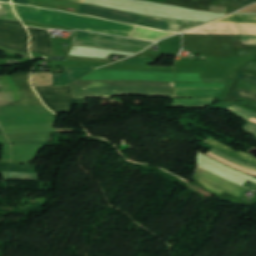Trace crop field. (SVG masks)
Wrapping results in <instances>:
<instances>
[{
    "mask_svg": "<svg viewBox=\"0 0 256 256\" xmlns=\"http://www.w3.org/2000/svg\"><path fill=\"white\" fill-rule=\"evenodd\" d=\"M68 1H74V2H80V3L84 2V0H68Z\"/></svg>",
    "mask_w": 256,
    "mask_h": 256,
    "instance_id": "34",
    "label": "crop field"
},
{
    "mask_svg": "<svg viewBox=\"0 0 256 256\" xmlns=\"http://www.w3.org/2000/svg\"><path fill=\"white\" fill-rule=\"evenodd\" d=\"M0 143H1V144H10V143L7 141L5 135H0Z\"/></svg>",
    "mask_w": 256,
    "mask_h": 256,
    "instance_id": "32",
    "label": "crop field"
},
{
    "mask_svg": "<svg viewBox=\"0 0 256 256\" xmlns=\"http://www.w3.org/2000/svg\"><path fill=\"white\" fill-rule=\"evenodd\" d=\"M41 100L55 113L70 112L72 105L86 104L85 99H73L70 86L35 88Z\"/></svg>",
    "mask_w": 256,
    "mask_h": 256,
    "instance_id": "6",
    "label": "crop field"
},
{
    "mask_svg": "<svg viewBox=\"0 0 256 256\" xmlns=\"http://www.w3.org/2000/svg\"><path fill=\"white\" fill-rule=\"evenodd\" d=\"M13 3L27 4L30 5V0H12Z\"/></svg>",
    "mask_w": 256,
    "mask_h": 256,
    "instance_id": "30",
    "label": "crop field"
},
{
    "mask_svg": "<svg viewBox=\"0 0 256 256\" xmlns=\"http://www.w3.org/2000/svg\"><path fill=\"white\" fill-rule=\"evenodd\" d=\"M30 73L11 74L2 77L18 106L43 105L31 86ZM2 79L0 77V107L17 106Z\"/></svg>",
    "mask_w": 256,
    "mask_h": 256,
    "instance_id": "4",
    "label": "crop field"
},
{
    "mask_svg": "<svg viewBox=\"0 0 256 256\" xmlns=\"http://www.w3.org/2000/svg\"><path fill=\"white\" fill-rule=\"evenodd\" d=\"M173 34L175 33L136 27L131 37L144 39V40L158 41L164 37H167Z\"/></svg>",
    "mask_w": 256,
    "mask_h": 256,
    "instance_id": "14",
    "label": "crop field"
},
{
    "mask_svg": "<svg viewBox=\"0 0 256 256\" xmlns=\"http://www.w3.org/2000/svg\"><path fill=\"white\" fill-rule=\"evenodd\" d=\"M228 109L238 113L237 115H239V116H241V117H243V118H245L249 121H250L251 118L256 119V114H253V113H251V112H249V111H247V110H245V109H243L239 106L230 107ZM253 119H251V122L256 123V120H253Z\"/></svg>",
    "mask_w": 256,
    "mask_h": 256,
    "instance_id": "21",
    "label": "crop field"
},
{
    "mask_svg": "<svg viewBox=\"0 0 256 256\" xmlns=\"http://www.w3.org/2000/svg\"><path fill=\"white\" fill-rule=\"evenodd\" d=\"M235 94L238 95V96L256 101V94H252V93L245 92V91L238 90V89L236 90Z\"/></svg>",
    "mask_w": 256,
    "mask_h": 256,
    "instance_id": "25",
    "label": "crop field"
},
{
    "mask_svg": "<svg viewBox=\"0 0 256 256\" xmlns=\"http://www.w3.org/2000/svg\"><path fill=\"white\" fill-rule=\"evenodd\" d=\"M211 152H213V153H215V154H217V155H219V156H221V157H223V158H225V159H227V160H230V161H232V162H235V163H237V164H239V165H242V166H245V167H247V168L256 170V166H255V165H252V164L247 163V162H244V161H242V160H239V159L230 157V156H228V155H226V154H224V153H222V152H220V151H218V150H216V149H214V148L211 150Z\"/></svg>",
    "mask_w": 256,
    "mask_h": 256,
    "instance_id": "19",
    "label": "crop field"
},
{
    "mask_svg": "<svg viewBox=\"0 0 256 256\" xmlns=\"http://www.w3.org/2000/svg\"><path fill=\"white\" fill-rule=\"evenodd\" d=\"M190 34H248L256 35V24L211 23L191 30Z\"/></svg>",
    "mask_w": 256,
    "mask_h": 256,
    "instance_id": "9",
    "label": "crop field"
},
{
    "mask_svg": "<svg viewBox=\"0 0 256 256\" xmlns=\"http://www.w3.org/2000/svg\"><path fill=\"white\" fill-rule=\"evenodd\" d=\"M243 130L252 135H256V124L249 122Z\"/></svg>",
    "mask_w": 256,
    "mask_h": 256,
    "instance_id": "28",
    "label": "crop field"
},
{
    "mask_svg": "<svg viewBox=\"0 0 256 256\" xmlns=\"http://www.w3.org/2000/svg\"><path fill=\"white\" fill-rule=\"evenodd\" d=\"M9 171H13V172H31V173H36V166H33V165H15V164H12Z\"/></svg>",
    "mask_w": 256,
    "mask_h": 256,
    "instance_id": "22",
    "label": "crop field"
},
{
    "mask_svg": "<svg viewBox=\"0 0 256 256\" xmlns=\"http://www.w3.org/2000/svg\"><path fill=\"white\" fill-rule=\"evenodd\" d=\"M206 155H208V156H210V157H212V158H214V159H216V160H218V161H220V162H222L226 165H229V166H231V167H233V168H235L239 171L245 172L247 174H250V175H253V176L256 177V171H253V170L247 169L245 167L239 166L235 163L229 162V161H227V160H225V159H223V158H221V157H219V156H217V155H215L211 152L207 153Z\"/></svg>",
    "mask_w": 256,
    "mask_h": 256,
    "instance_id": "18",
    "label": "crop field"
},
{
    "mask_svg": "<svg viewBox=\"0 0 256 256\" xmlns=\"http://www.w3.org/2000/svg\"><path fill=\"white\" fill-rule=\"evenodd\" d=\"M70 85L74 97H99L122 94L168 97H173L174 95V83L166 82L77 81Z\"/></svg>",
    "mask_w": 256,
    "mask_h": 256,
    "instance_id": "2",
    "label": "crop field"
},
{
    "mask_svg": "<svg viewBox=\"0 0 256 256\" xmlns=\"http://www.w3.org/2000/svg\"><path fill=\"white\" fill-rule=\"evenodd\" d=\"M1 173H2L3 177L7 179V173L8 172H1Z\"/></svg>",
    "mask_w": 256,
    "mask_h": 256,
    "instance_id": "33",
    "label": "crop field"
},
{
    "mask_svg": "<svg viewBox=\"0 0 256 256\" xmlns=\"http://www.w3.org/2000/svg\"><path fill=\"white\" fill-rule=\"evenodd\" d=\"M10 164L1 163L0 170L1 171H8Z\"/></svg>",
    "mask_w": 256,
    "mask_h": 256,
    "instance_id": "31",
    "label": "crop field"
},
{
    "mask_svg": "<svg viewBox=\"0 0 256 256\" xmlns=\"http://www.w3.org/2000/svg\"><path fill=\"white\" fill-rule=\"evenodd\" d=\"M205 143L213 146L214 148L230 155V156H233V157H236V158H239V159H242L244 161H247V162H250L252 164H256V158L254 157H251V156H248V155H245L243 153H240V152H235L234 150L226 147L225 145L213 140V139H209L207 140Z\"/></svg>",
    "mask_w": 256,
    "mask_h": 256,
    "instance_id": "15",
    "label": "crop field"
},
{
    "mask_svg": "<svg viewBox=\"0 0 256 256\" xmlns=\"http://www.w3.org/2000/svg\"><path fill=\"white\" fill-rule=\"evenodd\" d=\"M94 69L66 68L64 74L54 73V86H62L74 82Z\"/></svg>",
    "mask_w": 256,
    "mask_h": 256,
    "instance_id": "11",
    "label": "crop field"
},
{
    "mask_svg": "<svg viewBox=\"0 0 256 256\" xmlns=\"http://www.w3.org/2000/svg\"><path fill=\"white\" fill-rule=\"evenodd\" d=\"M242 42H243L244 44H253V45H256V36L242 35Z\"/></svg>",
    "mask_w": 256,
    "mask_h": 256,
    "instance_id": "27",
    "label": "crop field"
},
{
    "mask_svg": "<svg viewBox=\"0 0 256 256\" xmlns=\"http://www.w3.org/2000/svg\"><path fill=\"white\" fill-rule=\"evenodd\" d=\"M50 134L6 135L12 144H47Z\"/></svg>",
    "mask_w": 256,
    "mask_h": 256,
    "instance_id": "13",
    "label": "crop field"
},
{
    "mask_svg": "<svg viewBox=\"0 0 256 256\" xmlns=\"http://www.w3.org/2000/svg\"><path fill=\"white\" fill-rule=\"evenodd\" d=\"M75 35L96 38V39H102V40H108V41L127 43V44H133V45H139V46H145V47H149L152 44H154L152 42H147V41H140V40L107 36V35L81 32V31H76ZM78 36H75L73 45L96 46V47L128 51V52H135V53H139L143 49H145V47H139V46H133V45H127V44H121V43H115V42H108V41H102V40H96V39H90V38H84V37H78Z\"/></svg>",
    "mask_w": 256,
    "mask_h": 256,
    "instance_id": "5",
    "label": "crop field"
},
{
    "mask_svg": "<svg viewBox=\"0 0 256 256\" xmlns=\"http://www.w3.org/2000/svg\"><path fill=\"white\" fill-rule=\"evenodd\" d=\"M21 20L130 37L134 26L97 18L13 5Z\"/></svg>",
    "mask_w": 256,
    "mask_h": 256,
    "instance_id": "1",
    "label": "crop field"
},
{
    "mask_svg": "<svg viewBox=\"0 0 256 256\" xmlns=\"http://www.w3.org/2000/svg\"><path fill=\"white\" fill-rule=\"evenodd\" d=\"M239 77L241 80L256 84V76L247 74V73H240Z\"/></svg>",
    "mask_w": 256,
    "mask_h": 256,
    "instance_id": "26",
    "label": "crop field"
},
{
    "mask_svg": "<svg viewBox=\"0 0 256 256\" xmlns=\"http://www.w3.org/2000/svg\"><path fill=\"white\" fill-rule=\"evenodd\" d=\"M215 22L226 23H256V15H230Z\"/></svg>",
    "mask_w": 256,
    "mask_h": 256,
    "instance_id": "17",
    "label": "crop field"
},
{
    "mask_svg": "<svg viewBox=\"0 0 256 256\" xmlns=\"http://www.w3.org/2000/svg\"><path fill=\"white\" fill-rule=\"evenodd\" d=\"M0 1H6V2H11V0H0Z\"/></svg>",
    "mask_w": 256,
    "mask_h": 256,
    "instance_id": "35",
    "label": "crop field"
},
{
    "mask_svg": "<svg viewBox=\"0 0 256 256\" xmlns=\"http://www.w3.org/2000/svg\"><path fill=\"white\" fill-rule=\"evenodd\" d=\"M255 138H256V136H255Z\"/></svg>",
    "mask_w": 256,
    "mask_h": 256,
    "instance_id": "37",
    "label": "crop field"
},
{
    "mask_svg": "<svg viewBox=\"0 0 256 256\" xmlns=\"http://www.w3.org/2000/svg\"><path fill=\"white\" fill-rule=\"evenodd\" d=\"M0 134H3V132H2V130H1V128H0Z\"/></svg>",
    "mask_w": 256,
    "mask_h": 256,
    "instance_id": "36",
    "label": "crop field"
},
{
    "mask_svg": "<svg viewBox=\"0 0 256 256\" xmlns=\"http://www.w3.org/2000/svg\"><path fill=\"white\" fill-rule=\"evenodd\" d=\"M8 179L39 181L38 174H30V173H13V172H10Z\"/></svg>",
    "mask_w": 256,
    "mask_h": 256,
    "instance_id": "20",
    "label": "crop field"
},
{
    "mask_svg": "<svg viewBox=\"0 0 256 256\" xmlns=\"http://www.w3.org/2000/svg\"><path fill=\"white\" fill-rule=\"evenodd\" d=\"M221 89L176 88L175 97L217 98Z\"/></svg>",
    "mask_w": 256,
    "mask_h": 256,
    "instance_id": "12",
    "label": "crop field"
},
{
    "mask_svg": "<svg viewBox=\"0 0 256 256\" xmlns=\"http://www.w3.org/2000/svg\"><path fill=\"white\" fill-rule=\"evenodd\" d=\"M78 14L97 16L113 21L130 23L174 32H181L189 28L203 24L201 22L171 21L165 19L152 18L143 15L104 9L83 4L80 5Z\"/></svg>",
    "mask_w": 256,
    "mask_h": 256,
    "instance_id": "3",
    "label": "crop field"
},
{
    "mask_svg": "<svg viewBox=\"0 0 256 256\" xmlns=\"http://www.w3.org/2000/svg\"><path fill=\"white\" fill-rule=\"evenodd\" d=\"M237 88L245 90V91H249V92H252V93H256V85H253V84L241 81V80L239 81V84H238Z\"/></svg>",
    "mask_w": 256,
    "mask_h": 256,
    "instance_id": "24",
    "label": "crop field"
},
{
    "mask_svg": "<svg viewBox=\"0 0 256 256\" xmlns=\"http://www.w3.org/2000/svg\"><path fill=\"white\" fill-rule=\"evenodd\" d=\"M29 34L21 22L0 21V45L28 52Z\"/></svg>",
    "mask_w": 256,
    "mask_h": 256,
    "instance_id": "7",
    "label": "crop field"
},
{
    "mask_svg": "<svg viewBox=\"0 0 256 256\" xmlns=\"http://www.w3.org/2000/svg\"><path fill=\"white\" fill-rule=\"evenodd\" d=\"M126 64H140V65H151L154 62L152 60H150L148 57H138L135 59H132L130 61L127 62H123Z\"/></svg>",
    "mask_w": 256,
    "mask_h": 256,
    "instance_id": "23",
    "label": "crop field"
},
{
    "mask_svg": "<svg viewBox=\"0 0 256 256\" xmlns=\"http://www.w3.org/2000/svg\"><path fill=\"white\" fill-rule=\"evenodd\" d=\"M239 5H248L252 2H254V0H235Z\"/></svg>",
    "mask_w": 256,
    "mask_h": 256,
    "instance_id": "29",
    "label": "crop field"
},
{
    "mask_svg": "<svg viewBox=\"0 0 256 256\" xmlns=\"http://www.w3.org/2000/svg\"><path fill=\"white\" fill-rule=\"evenodd\" d=\"M215 99H175L173 106L178 107H195L208 106L213 103Z\"/></svg>",
    "mask_w": 256,
    "mask_h": 256,
    "instance_id": "16",
    "label": "crop field"
},
{
    "mask_svg": "<svg viewBox=\"0 0 256 256\" xmlns=\"http://www.w3.org/2000/svg\"><path fill=\"white\" fill-rule=\"evenodd\" d=\"M31 35L30 51L43 55L52 54V41L48 30L27 28Z\"/></svg>",
    "mask_w": 256,
    "mask_h": 256,
    "instance_id": "10",
    "label": "crop field"
},
{
    "mask_svg": "<svg viewBox=\"0 0 256 256\" xmlns=\"http://www.w3.org/2000/svg\"><path fill=\"white\" fill-rule=\"evenodd\" d=\"M197 179L209 190L221 194L223 191L240 197L248 188L236 185L232 182L217 177L198 167Z\"/></svg>",
    "mask_w": 256,
    "mask_h": 256,
    "instance_id": "8",
    "label": "crop field"
}]
</instances>
